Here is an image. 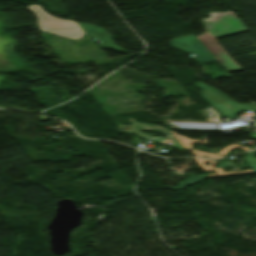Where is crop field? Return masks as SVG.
<instances>
[{
    "mask_svg": "<svg viewBox=\"0 0 256 256\" xmlns=\"http://www.w3.org/2000/svg\"><path fill=\"white\" fill-rule=\"evenodd\" d=\"M204 21L215 39L248 31L245 25L232 11L226 13H212L211 18L204 19ZM212 27L215 28L213 29ZM216 30H218V32H215Z\"/></svg>",
    "mask_w": 256,
    "mask_h": 256,
    "instance_id": "crop-field-1",
    "label": "crop field"
},
{
    "mask_svg": "<svg viewBox=\"0 0 256 256\" xmlns=\"http://www.w3.org/2000/svg\"><path fill=\"white\" fill-rule=\"evenodd\" d=\"M173 48L196 55L200 62L216 61L195 36H183L171 41Z\"/></svg>",
    "mask_w": 256,
    "mask_h": 256,
    "instance_id": "crop-field-2",
    "label": "crop field"
},
{
    "mask_svg": "<svg viewBox=\"0 0 256 256\" xmlns=\"http://www.w3.org/2000/svg\"><path fill=\"white\" fill-rule=\"evenodd\" d=\"M198 39L208 49V51L221 63L227 72L241 70L217 45V43L206 32L199 36Z\"/></svg>",
    "mask_w": 256,
    "mask_h": 256,
    "instance_id": "crop-field-3",
    "label": "crop field"
},
{
    "mask_svg": "<svg viewBox=\"0 0 256 256\" xmlns=\"http://www.w3.org/2000/svg\"><path fill=\"white\" fill-rule=\"evenodd\" d=\"M208 178L207 175H201V176H192L191 178L181 182L178 186L171 187L172 190H178L182 188H186L192 184H195L199 181H202L204 179Z\"/></svg>",
    "mask_w": 256,
    "mask_h": 256,
    "instance_id": "crop-field-4",
    "label": "crop field"
},
{
    "mask_svg": "<svg viewBox=\"0 0 256 256\" xmlns=\"http://www.w3.org/2000/svg\"><path fill=\"white\" fill-rule=\"evenodd\" d=\"M234 164L223 162L220 166L221 167H226V166H233Z\"/></svg>",
    "mask_w": 256,
    "mask_h": 256,
    "instance_id": "crop-field-5",
    "label": "crop field"
},
{
    "mask_svg": "<svg viewBox=\"0 0 256 256\" xmlns=\"http://www.w3.org/2000/svg\"><path fill=\"white\" fill-rule=\"evenodd\" d=\"M165 144H169V145H170V144H171V142L166 141V142H165Z\"/></svg>",
    "mask_w": 256,
    "mask_h": 256,
    "instance_id": "crop-field-6",
    "label": "crop field"
}]
</instances>
